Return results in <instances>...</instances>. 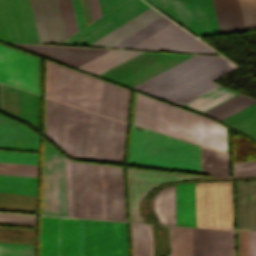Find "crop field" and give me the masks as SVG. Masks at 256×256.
<instances>
[{
    "mask_svg": "<svg viewBox=\"0 0 256 256\" xmlns=\"http://www.w3.org/2000/svg\"><path fill=\"white\" fill-rule=\"evenodd\" d=\"M66 216L125 221L122 168L63 157ZM62 155L43 141L40 214L65 216Z\"/></svg>",
    "mask_w": 256,
    "mask_h": 256,
    "instance_id": "obj_1",
    "label": "crop field"
},
{
    "mask_svg": "<svg viewBox=\"0 0 256 256\" xmlns=\"http://www.w3.org/2000/svg\"><path fill=\"white\" fill-rule=\"evenodd\" d=\"M133 124L196 145L226 151V127L138 93Z\"/></svg>",
    "mask_w": 256,
    "mask_h": 256,
    "instance_id": "obj_2",
    "label": "crop field"
},
{
    "mask_svg": "<svg viewBox=\"0 0 256 256\" xmlns=\"http://www.w3.org/2000/svg\"><path fill=\"white\" fill-rule=\"evenodd\" d=\"M128 164L201 172L200 148L133 126Z\"/></svg>",
    "mask_w": 256,
    "mask_h": 256,
    "instance_id": "obj_3",
    "label": "crop field"
},
{
    "mask_svg": "<svg viewBox=\"0 0 256 256\" xmlns=\"http://www.w3.org/2000/svg\"><path fill=\"white\" fill-rule=\"evenodd\" d=\"M90 112L46 98L45 136L64 153L84 159Z\"/></svg>",
    "mask_w": 256,
    "mask_h": 256,
    "instance_id": "obj_4",
    "label": "crop field"
},
{
    "mask_svg": "<svg viewBox=\"0 0 256 256\" xmlns=\"http://www.w3.org/2000/svg\"><path fill=\"white\" fill-rule=\"evenodd\" d=\"M76 219L41 216L40 256H75ZM92 220L77 219L76 256H91Z\"/></svg>",
    "mask_w": 256,
    "mask_h": 256,
    "instance_id": "obj_5",
    "label": "crop field"
},
{
    "mask_svg": "<svg viewBox=\"0 0 256 256\" xmlns=\"http://www.w3.org/2000/svg\"><path fill=\"white\" fill-rule=\"evenodd\" d=\"M54 63L45 60L44 95L53 99ZM101 81L55 63L54 99L97 113Z\"/></svg>",
    "mask_w": 256,
    "mask_h": 256,
    "instance_id": "obj_6",
    "label": "crop field"
},
{
    "mask_svg": "<svg viewBox=\"0 0 256 256\" xmlns=\"http://www.w3.org/2000/svg\"><path fill=\"white\" fill-rule=\"evenodd\" d=\"M196 227L232 229V181L196 184Z\"/></svg>",
    "mask_w": 256,
    "mask_h": 256,
    "instance_id": "obj_7",
    "label": "crop field"
},
{
    "mask_svg": "<svg viewBox=\"0 0 256 256\" xmlns=\"http://www.w3.org/2000/svg\"><path fill=\"white\" fill-rule=\"evenodd\" d=\"M236 68L238 67L222 57L151 95L181 106L218 87L212 81Z\"/></svg>",
    "mask_w": 256,
    "mask_h": 256,
    "instance_id": "obj_8",
    "label": "crop field"
},
{
    "mask_svg": "<svg viewBox=\"0 0 256 256\" xmlns=\"http://www.w3.org/2000/svg\"><path fill=\"white\" fill-rule=\"evenodd\" d=\"M125 128L91 112L85 159L121 164Z\"/></svg>",
    "mask_w": 256,
    "mask_h": 256,
    "instance_id": "obj_9",
    "label": "crop field"
},
{
    "mask_svg": "<svg viewBox=\"0 0 256 256\" xmlns=\"http://www.w3.org/2000/svg\"><path fill=\"white\" fill-rule=\"evenodd\" d=\"M148 7L142 0H128L61 44L88 46Z\"/></svg>",
    "mask_w": 256,
    "mask_h": 256,
    "instance_id": "obj_10",
    "label": "crop field"
},
{
    "mask_svg": "<svg viewBox=\"0 0 256 256\" xmlns=\"http://www.w3.org/2000/svg\"><path fill=\"white\" fill-rule=\"evenodd\" d=\"M0 82L38 94L37 59L0 46Z\"/></svg>",
    "mask_w": 256,
    "mask_h": 256,
    "instance_id": "obj_11",
    "label": "crop field"
},
{
    "mask_svg": "<svg viewBox=\"0 0 256 256\" xmlns=\"http://www.w3.org/2000/svg\"><path fill=\"white\" fill-rule=\"evenodd\" d=\"M128 187H129V205L130 221L144 222L139 207L142 199L154 188L168 181H181L200 176H191L174 173H162L140 169L127 168Z\"/></svg>",
    "mask_w": 256,
    "mask_h": 256,
    "instance_id": "obj_12",
    "label": "crop field"
},
{
    "mask_svg": "<svg viewBox=\"0 0 256 256\" xmlns=\"http://www.w3.org/2000/svg\"><path fill=\"white\" fill-rule=\"evenodd\" d=\"M132 49L218 54L174 23Z\"/></svg>",
    "mask_w": 256,
    "mask_h": 256,
    "instance_id": "obj_13",
    "label": "crop field"
},
{
    "mask_svg": "<svg viewBox=\"0 0 256 256\" xmlns=\"http://www.w3.org/2000/svg\"><path fill=\"white\" fill-rule=\"evenodd\" d=\"M221 34L256 29V0H213Z\"/></svg>",
    "mask_w": 256,
    "mask_h": 256,
    "instance_id": "obj_14",
    "label": "crop field"
},
{
    "mask_svg": "<svg viewBox=\"0 0 256 256\" xmlns=\"http://www.w3.org/2000/svg\"><path fill=\"white\" fill-rule=\"evenodd\" d=\"M92 256H127L125 223L93 220Z\"/></svg>",
    "mask_w": 256,
    "mask_h": 256,
    "instance_id": "obj_15",
    "label": "crop field"
},
{
    "mask_svg": "<svg viewBox=\"0 0 256 256\" xmlns=\"http://www.w3.org/2000/svg\"><path fill=\"white\" fill-rule=\"evenodd\" d=\"M40 43L66 39L57 0H30Z\"/></svg>",
    "mask_w": 256,
    "mask_h": 256,
    "instance_id": "obj_16",
    "label": "crop field"
},
{
    "mask_svg": "<svg viewBox=\"0 0 256 256\" xmlns=\"http://www.w3.org/2000/svg\"><path fill=\"white\" fill-rule=\"evenodd\" d=\"M3 112L38 131L39 96L3 84Z\"/></svg>",
    "mask_w": 256,
    "mask_h": 256,
    "instance_id": "obj_17",
    "label": "crop field"
},
{
    "mask_svg": "<svg viewBox=\"0 0 256 256\" xmlns=\"http://www.w3.org/2000/svg\"><path fill=\"white\" fill-rule=\"evenodd\" d=\"M0 149L38 152V136L25 126L0 116Z\"/></svg>",
    "mask_w": 256,
    "mask_h": 256,
    "instance_id": "obj_18",
    "label": "crop field"
},
{
    "mask_svg": "<svg viewBox=\"0 0 256 256\" xmlns=\"http://www.w3.org/2000/svg\"><path fill=\"white\" fill-rule=\"evenodd\" d=\"M220 57L195 55L134 89L152 93Z\"/></svg>",
    "mask_w": 256,
    "mask_h": 256,
    "instance_id": "obj_19",
    "label": "crop field"
},
{
    "mask_svg": "<svg viewBox=\"0 0 256 256\" xmlns=\"http://www.w3.org/2000/svg\"><path fill=\"white\" fill-rule=\"evenodd\" d=\"M11 44L35 52L37 54L43 55L45 57L72 65L74 67L107 51L103 49L58 47L14 43Z\"/></svg>",
    "mask_w": 256,
    "mask_h": 256,
    "instance_id": "obj_20",
    "label": "crop field"
},
{
    "mask_svg": "<svg viewBox=\"0 0 256 256\" xmlns=\"http://www.w3.org/2000/svg\"><path fill=\"white\" fill-rule=\"evenodd\" d=\"M0 40L28 42L18 0H0Z\"/></svg>",
    "mask_w": 256,
    "mask_h": 256,
    "instance_id": "obj_21",
    "label": "crop field"
},
{
    "mask_svg": "<svg viewBox=\"0 0 256 256\" xmlns=\"http://www.w3.org/2000/svg\"><path fill=\"white\" fill-rule=\"evenodd\" d=\"M130 91L102 81L98 113L126 122Z\"/></svg>",
    "mask_w": 256,
    "mask_h": 256,
    "instance_id": "obj_22",
    "label": "crop field"
},
{
    "mask_svg": "<svg viewBox=\"0 0 256 256\" xmlns=\"http://www.w3.org/2000/svg\"><path fill=\"white\" fill-rule=\"evenodd\" d=\"M238 230L256 229V181L237 182Z\"/></svg>",
    "mask_w": 256,
    "mask_h": 256,
    "instance_id": "obj_23",
    "label": "crop field"
},
{
    "mask_svg": "<svg viewBox=\"0 0 256 256\" xmlns=\"http://www.w3.org/2000/svg\"><path fill=\"white\" fill-rule=\"evenodd\" d=\"M160 15L150 7L90 46L111 47Z\"/></svg>",
    "mask_w": 256,
    "mask_h": 256,
    "instance_id": "obj_24",
    "label": "crop field"
},
{
    "mask_svg": "<svg viewBox=\"0 0 256 256\" xmlns=\"http://www.w3.org/2000/svg\"><path fill=\"white\" fill-rule=\"evenodd\" d=\"M163 12L198 34L190 0H147ZM199 35V34H198Z\"/></svg>",
    "mask_w": 256,
    "mask_h": 256,
    "instance_id": "obj_25",
    "label": "crop field"
},
{
    "mask_svg": "<svg viewBox=\"0 0 256 256\" xmlns=\"http://www.w3.org/2000/svg\"><path fill=\"white\" fill-rule=\"evenodd\" d=\"M151 207L159 224L176 225L175 185L160 190L153 197Z\"/></svg>",
    "mask_w": 256,
    "mask_h": 256,
    "instance_id": "obj_26",
    "label": "crop field"
},
{
    "mask_svg": "<svg viewBox=\"0 0 256 256\" xmlns=\"http://www.w3.org/2000/svg\"><path fill=\"white\" fill-rule=\"evenodd\" d=\"M177 225L195 227V184L176 185Z\"/></svg>",
    "mask_w": 256,
    "mask_h": 256,
    "instance_id": "obj_27",
    "label": "crop field"
},
{
    "mask_svg": "<svg viewBox=\"0 0 256 256\" xmlns=\"http://www.w3.org/2000/svg\"><path fill=\"white\" fill-rule=\"evenodd\" d=\"M140 53L142 52L110 50L76 68L98 76Z\"/></svg>",
    "mask_w": 256,
    "mask_h": 256,
    "instance_id": "obj_28",
    "label": "crop field"
},
{
    "mask_svg": "<svg viewBox=\"0 0 256 256\" xmlns=\"http://www.w3.org/2000/svg\"><path fill=\"white\" fill-rule=\"evenodd\" d=\"M200 36L220 34L212 0H191Z\"/></svg>",
    "mask_w": 256,
    "mask_h": 256,
    "instance_id": "obj_29",
    "label": "crop field"
},
{
    "mask_svg": "<svg viewBox=\"0 0 256 256\" xmlns=\"http://www.w3.org/2000/svg\"><path fill=\"white\" fill-rule=\"evenodd\" d=\"M202 172L229 177V153L201 148Z\"/></svg>",
    "mask_w": 256,
    "mask_h": 256,
    "instance_id": "obj_30",
    "label": "crop field"
},
{
    "mask_svg": "<svg viewBox=\"0 0 256 256\" xmlns=\"http://www.w3.org/2000/svg\"><path fill=\"white\" fill-rule=\"evenodd\" d=\"M133 256H155L152 225L131 223Z\"/></svg>",
    "mask_w": 256,
    "mask_h": 256,
    "instance_id": "obj_31",
    "label": "crop field"
},
{
    "mask_svg": "<svg viewBox=\"0 0 256 256\" xmlns=\"http://www.w3.org/2000/svg\"><path fill=\"white\" fill-rule=\"evenodd\" d=\"M237 94L238 93L234 91L220 86L202 95L201 97L183 105L182 107L202 113Z\"/></svg>",
    "mask_w": 256,
    "mask_h": 256,
    "instance_id": "obj_32",
    "label": "crop field"
},
{
    "mask_svg": "<svg viewBox=\"0 0 256 256\" xmlns=\"http://www.w3.org/2000/svg\"><path fill=\"white\" fill-rule=\"evenodd\" d=\"M170 256H192V228L170 226Z\"/></svg>",
    "mask_w": 256,
    "mask_h": 256,
    "instance_id": "obj_33",
    "label": "crop field"
},
{
    "mask_svg": "<svg viewBox=\"0 0 256 256\" xmlns=\"http://www.w3.org/2000/svg\"><path fill=\"white\" fill-rule=\"evenodd\" d=\"M37 178L0 175V192L36 195Z\"/></svg>",
    "mask_w": 256,
    "mask_h": 256,
    "instance_id": "obj_34",
    "label": "crop field"
},
{
    "mask_svg": "<svg viewBox=\"0 0 256 256\" xmlns=\"http://www.w3.org/2000/svg\"><path fill=\"white\" fill-rule=\"evenodd\" d=\"M255 120H256V103L221 122L231 126L232 128L238 130L239 132L245 134L246 136L256 141V122L242 130L240 129L241 127Z\"/></svg>",
    "mask_w": 256,
    "mask_h": 256,
    "instance_id": "obj_35",
    "label": "crop field"
},
{
    "mask_svg": "<svg viewBox=\"0 0 256 256\" xmlns=\"http://www.w3.org/2000/svg\"><path fill=\"white\" fill-rule=\"evenodd\" d=\"M254 102L256 100L239 94L203 114L222 120Z\"/></svg>",
    "mask_w": 256,
    "mask_h": 256,
    "instance_id": "obj_36",
    "label": "crop field"
},
{
    "mask_svg": "<svg viewBox=\"0 0 256 256\" xmlns=\"http://www.w3.org/2000/svg\"><path fill=\"white\" fill-rule=\"evenodd\" d=\"M170 23L172 22L162 15L159 18L152 21L151 23H149L148 25L138 30L137 32L133 33L129 37L125 38L118 44L114 45L113 47L130 48L135 44L141 42L142 40L146 39L147 37L151 36L152 34L156 33L157 31L164 28Z\"/></svg>",
    "mask_w": 256,
    "mask_h": 256,
    "instance_id": "obj_37",
    "label": "crop field"
},
{
    "mask_svg": "<svg viewBox=\"0 0 256 256\" xmlns=\"http://www.w3.org/2000/svg\"><path fill=\"white\" fill-rule=\"evenodd\" d=\"M36 196L0 193V210L35 212Z\"/></svg>",
    "mask_w": 256,
    "mask_h": 256,
    "instance_id": "obj_38",
    "label": "crop field"
},
{
    "mask_svg": "<svg viewBox=\"0 0 256 256\" xmlns=\"http://www.w3.org/2000/svg\"><path fill=\"white\" fill-rule=\"evenodd\" d=\"M210 256H232V231L210 230Z\"/></svg>",
    "mask_w": 256,
    "mask_h": 256,
    "instance_id": "obj_39",
    "label": "crop field"
},
{
    "mask_svg": "<svg viewBox=\"0 0 256 256\" xmlns=\"http://www.w3.org/2000/svg\"><path fill=\"white\" fill-rule=\"evenodd\" d=\"M35 230L0 227V242L34 245Z\"/></svg>",
    "mask_w": 256,
    "mask_h": 256,
    "instance_id": "obj_40",
    "label": "crop field"
},
{
    "mask_svg": "<svg viewBox=\"0 0 256 256\" xmlns=\"http://www.w3.org/2000/svg\"><path fill=\"white\" fill-rule=\"evenodd\" d=\"M193 256H209V230L193 228Z\"/></svg>",
    "mask_w": 256,
    "mask_h": 256,
    "instance_id": "obj_41",
    "label": "crop field"
},
{
    "mask_svg": "<svg viewBox=\"0 0 256 256\" xmlns=\"http://www.w3.org/2000/svg\"><path fill=\"white\" fill-rule=\"evenodd\" d=\"M29 42L39 43L29 0H19Z\"/></svg>",
    "mask_w": 256,
    "mask_h": 256,
    "instance_id": "obj_42",
    "label": "crop field"
},
{
    "mask_svg": "<svg viewBox=\"0 0 256 256\" xmlns=\"http://www.w3.org/2000/svg\"><path fill=\"white\" fill-rule=\"evenodd\" d=\"M66 36L69 37L77 31L70 0H58Z\"/></svg>",
    "mask_w": 256,
    "mask_h": 256,
    "instance_id": "obj_43",
    "label": "crop field"
},
{
    "mask_svg": "<svg viewBox=\"0 0 256 256\" xmlns=\"http://www.w3.org/2000/svg\"><path fill=\"white\" fill-rule=\"evenodd\" d=\"M38 154L0 151V162L37 165Z\"/></svg>",
    "mask_w": 256,
    "mask_h": 256,
    "instance_id": "obj_44",
    "label": "crop field"
},
{
    "mask_svg": "<svg viewBox=\"0 0 256 256\" xmlns=\"http://www.w3.org/2000/svg\"><path fill=\"white\" fill-rule=\"evenodd\" d=\"M0 174L37 177V166L0 163Z\"/></svg>",
    "mask_w": 256,
    "mask_h": 256,
    "instance_id": "obj_45",
    "label": "crop field"
},
{
    "mask_svg": "<svg viewBox=\"0 0 256 256\" xmlns=\"http://www.w3.org/2000/svg\"><path fill=\"white\" fill-rule=\"evenodd\" d=\"M0 256H34V246L0 243Z\"/></svg>",
    "mask_w": 256,
    "mask_h": 256,
    "instance_id": "obj_46",
    "label": "crop field"
},
{
    "mask_svg": "<svg viewBox=\"0 0 256 256\" xmlns=\"http://www.w3.org/2000/svg\"><path fill=\"white\" fill-rule=\"evenodd\" d=\"M0 223L35 225V216L0 213Z\"/></svg>",
    "mask_w": 256,
    "mask_h": 256,
    "instance_id": "obj_47",
    "label": "crop field"
},
{
    "mask_svg": "<svg viewBox=\"0 0 256 256\" xmlns=\"http://www.w3.org/2000/svg\"><path fill=\"white\" fill-rule=\"evenodd\" d=\"M71 3H72V7H73V12H74L77 28L80 29V28L86 26L82 7H81V2H80V0H71Z\"/></svg>",
    "mask_w": 256,
    "mask_h": 256,
    "instance_id": "obj_48",
    "label": "crop field"
},
{
    "mask_svg": "<svg viewBox=\"0 0 256 256\" xmlns=\"http://www.w3.org/2000/svg\"><path fill=\"white\" fill-rule=\"evenodd\" d=\"M238 256H248V232L238 231Z\"/></svg>",
    "mask_w": 256,
    "mask_h": 256,
    "instance_id": "obj_49",
    "label": "crop field"
},
{
    "mask_svg": "<svg viewBox=\"0 0 256 256\" xmlns=\"http://www.w3.org/2000/svg\"><path fill=\"white\" fill-rule=\"evenodd\" d=\"M124 1L126 0H98L101 14L104 15Z\"/></svg>",
    "mask_w": 256,
    "mask_h": 256,
    "instance_id": "obj_50",
    "label": "crop field"
},
{
    "mask_svg": "<svg viewBox=\"0 0 256 256\" xmlns=\"http://www.w3.org/2000/svg\"><path fill=\"white\" fill-rule=\"evenodd\" d=\"M249 256H256V232H249Z\"/></svg>",
    "mask_w": 256,
    "mask_h": 256,
    "instance_id": "obj_51",
    "label": "crop field"
},
{
    "mask_svg": "<svg viewBox=\"0 0 256 256\" xmlns=\"http://www.w3.org/2000/svg\"><path fill=\"white\" fill-rule=\"evenodd\" d=\"M88 2H89L92 19L95 20L96 18H98V15H99V17L101 16L97 0H96V5H97V10H98V15H97V10H96L95 0H88Z\"/></svg>",
    "mask_w": 256,
    "mask_h": 256,
    "instance_id": "obj_52",
    "label": "crop field"
},
{
    "mask_svg": "<svg viewBox=\"0 0 256 256\" xmlns=\"http://www.w3.org/2000/svg\"><path fill=\"white\" fill-rule=\"evenodd\" d=\"M81 2H82V6H83L86 23L89 24L90 22H92V19H91L89 7H88V2H87V0H81Z\"/></svg>",
    "mask_w": 256,
    "mask_h": 256,
    "instance_id": "obj_53",
    "label": "crop field"
},
{
    "mask_svg": "<svg viewBox=\"0 0 256 256\" xmlns=\"http://www.w3.org/2000/svg\"><path fill=\"white\" fill-rule=\"evenodd\" d=\"M0 111L2 112V84H0Z\"/></svg>",
    "mask_w": 256,
    "mask_h": 256,
    "instance_id": "obj_54",
    "label": "crop field"
}]
</instances>
